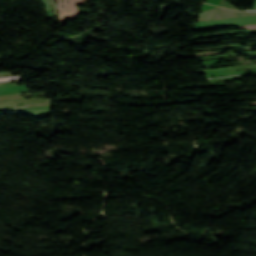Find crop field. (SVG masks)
Returning <instances> with one entry per match:
<instances>
[{
	"label": "crop field",
	"mask_w": 256,
	"mask_h": 256,
	"mask_svg": "<svg viewBox=\"0 0 256 256\" xmlns=\"http://www.w3.org/2000/svg\"><path fill=\"white\" fill-rule=\"evenodd\" d=\"M249 15H256V11L236 12V11L218 7V8L200 13L199 21L229 18V17L249 16Z\"/></svg>",
	"instance_id": "8a807250"
},
{
	"label": "crop field",
	"mask_w": 256,
	"mask_h": 256,
	"mask_svg": "<svg viewBox=\"0 0 256 256\" xmlns=\"http://www.w3.org/2000/svg\"><path fill=\"white\" fill-rule=\"evenodd\" d=\"M69 12H70L72 18L79 15L77 8H76L75 0H69Z\"/></svg>",
	"instance_id": "ac0d7876"
},
{
	"label": "crop field",
	"mask_w": 256,
	"mask_h": 256,
	"mask_svg": "<svg viewBox=\"0 0 256 256\" xmlns=\"http://www.w3.org/2000/svg\"><path fill=\"white\" fill-rule=\"evenodd\" d=\"M57 3H58V12H59V16H60L59 22H60V24H63L66 21L64 19L63 11H62V0H57Z\"/></svg>",
	"instance_id": "34b2d1b8"
},
{
	"label": "crop field",
	"mask_w": 256,
	"mask_h": 256,
	"mask_svg": "<svg viewBox=\"0 0 256 256\" xmlns=\"http://www.w3.org/2000/svg\"><path fill=\"white\" fill-rule=\"evenodd\" d=\"M63 6H64V14H65V18L68 19L69 14H68V6H67V0H63Z\"/></svg>",
	"instance_id": "412701ff"
},
{
	"label": "crop field",
	"mask_w": 256,
	"mask_h": 256,
	"mask_svg": "<svg viewBox=\"0 0 256 256\" xmlns=\"http://www.w3.org/2000/svg\"><path fill=\"white\" fill-rule=\"evenodd\" d=\"M15 79H23V75L22 76H13V77L0 78V81L15 80Z\"/></svg>",
	"instance_id": "f4fd0767"
},
{
	"label": "crop field",
	"mask_w": 256,
	"mask_h": 256,
	"mask_svg": "<svg viewBox=\"0 0 256 256\" xmlns=\"http://www.w3.org/2000/svg\"><path fill=\"white\" fill-rule=\"evenodd\" d=\"M240 28L255 29V28H256V25L240 26Z\"/></svg>",
	"instance_id": "dd49c442"
},
{
	"label": "crop field",
	"mask_w": 256,
	"mask_h": 256,
	"mask_svg": "<svg viewBox=\"0 0 256 256\" xmlns=\"http://www.w3.org/2000/svg\"><path fill=\"white\" fill-rule=\"evenodd\" d=\"M85 4L83 0H77V5Z\"/></svg>",
	"instance_id": "e52e79f7"
},
{
	"label": "crop field",
	"mask_w": 256,
	"mask_h": 256,
	"mask_svg": "<svg viewBox=\"0 0 256 256\" xmlns=\"http://www.w3.org/2000/svg\"><path fill=\"white\" fill-rule=\"evenodd\" d=\"M86 2H91V0H85Z\"/></svg>",
	"instance_id": "d8731c3e"
}]
</instances>
